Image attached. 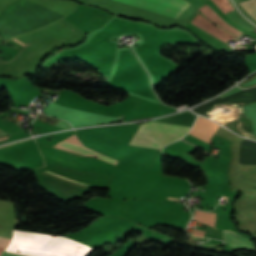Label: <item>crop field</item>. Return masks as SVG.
I'll return each instance as SVG.
<instances>
[{
    "mask_svg": "<svg viewBox=\"0 0 256 256\" xmlns=\"http://www.w3.org/2000/svg\"><path fill=\"white\" fill-rule=\"evenodd\" d=\"M200 9L203 14L208 17L212 22L223 28L224 30L238 36L242 32L236 30L235 28L229 26L225 21H223L214 11H212L206 4L201 6ZM199 10V11H200Z\"/></svg>",
    "mask_w": 256,
    "mask_h": 256,
    "instance_id": "obj_8",
    "label": "crop field"
},
{
    "mask_svg": "<svg viewBox=\"0 0 256 256\" xmlns=\"http://www.w3.org/2000/svg\"><path fill=\"white\" fill-rule=\"evenodd\" d=\"M10 240L11 239L9 238L0 237V247L5 248L9 244Z\"/></svg>",
    "mask_w": 256,
    "mask_h": 256,
    "instance_id": "obj_13",
    "label": "crop field"
},
{
    "mask_svg": "<svg viewBox=\"0 0 256 256\" xmlns=\"http://www.w3.org/2000/svg\"><path fill=\"white\" fill-rule=\"evenodd\" d=\"M223 239L233 247L254 249L250 239L232 230L223 231Z\"/></svg>",
    "mask_w": 256,
    "mask_h": 256,
    "instance_id": "obj_7",
    "label": "crop field"
},
{
    "mask_svg": "<svg viewBox=\"0 0 256 256\" xmlns=\"http://www.w3.org/2000/svg\"><path fill=\"white\" fill-rule=\"evenodd\" d=\"M219 8L225 13L234 12V9L232 8L231 4L228 0H213Z\"/></svg>",
    "mask_w": 256,
    "mask_h": 256,
    "instance_id": "obj_12",
    "label": "crop field"
},
{
    "mask_svg": "<svg viewBox=\"0 0 256 256\" xmlns=\"http://www.w3.org/2000/svg\"><path fill=\"white\" fill-rule=\"evenodd\" d=\"M54 147H57L59 149H62V150H65V151H68L70 153L80 155V156H83V157L91 155V156L97 157V158H99L103 161L117 164L116 160H114V159H112L108 156L101 155V154H99V153H97V152H95V151H93V150H91L87 147L77 146V145H74V144H71V143H68V142H65V141L57 143L56 145H54Z\"/></svg>",
    "mask_w": 256,
    "mask_h": 256,
    "instance_id": "obj_5",
    "label": "crop field"
},
{
    "mask_svg": "<svg viewBox=\"0 0 256 256\" xmlns=\"http://www.w3.org/2000/svg\"><path fill=\"white\" fill-rule=\"evenodd\" d=\"M214 217H215V213H205V212L195 211L192 219H195L200 222H203V223L213 226L214 225Z\"/></svg>",
    "mask_w": 256,
    "mask_h": 256,
    "instance_id": "obj_10",
    "label": "crop field"
},
{
    "mask_svg": "<svg viewBox=\"0 0 256 256\" xmlns=\"http://www.w3.org/2000/svg\"><path fill=\"white\" fill-rule=\"evenodd\" d=\"M179 19L188 3L183 0H116Z\"/></svg>",
    "mask_w": 256,
    "mask_h": 256,
    "instance_id": "obj_3",
    "label": "crop field"
},
{
    "mask_svg": "<svg viewBox=\"0 0 256 256\" xmlns=\"http://www.w3.org/2000/svg\"><path fill=\"white\" fill-rule=\"evenodd\" d=\"M195 117H196L195 115L186 111V112H183L180 114L170 116L168 118L159 119V121L192 126V124L195 120Z\"/></svg>",
    "mask_w": 256,
    "mask_h": 256,
    "instance_id": "obj_9",
    "label": "crop field"
},
{
    "mask_svg": "<svg viewBox=\"0 0 256 256\" xmlns=\"http://www.w3.org/2000/svg\"><path fill=\"white\" fill-rule=\"evenodd\" d=\"M50 167L54 168V169H57V170H60V171H63V172H66V173H70V174L85 178L82 171L77 170V169H73V168H70V167H67V166H64V165H61V164L51 162V161H50ZM41 172H44V173L62 178L64 180H67V181H70V182H73V183H76V184H79V185H82V186L88 184L87 181H85V180H82V179H79V178H76V177H73V176H70V175H66V174L51 170V169L44 170V171H41ZM41 172H40V174H41L42 177L60 182L62 184H65V185H68V186H71V187H74V188H77V189L82 188V186H79V185L61 180L59 178H56V177H53V176H50V175H47V174H44V173H41Z\"/></svg>",
    "mask_w": 256,
    "mask_h": 256,
    "instance_id": "obj_4",
    "label": "crop field"
},
{
    "mask_svg": "<svg viewBox=\"0 0 256 256\" xmlns=\"http://www.w3.org/2000/svg\"><path fill=\"white\" fill-rule=\"evenodd\" d=\"M241 5L256 20V0H249L241 3Z\"/></svg>",
    "mask_w": 256,
    "mask_h": 256,
    "instance_id": "obj_11",
    "label": "crop field"
},
{
    "mask_svg": "<svg viewBox=\"0 0 256 256\" xmlns=\"http://www.w3.org/2000/svg\"><path fill=\"white\" fill-rule=\"evenodd\" d=\"M189 130L190 127L149 121L142 123L130 144L161 149L184 136Z\"/></svg>",
    "mask_w": 256,
    "mask_h": 256,
    "instance_id": "obj_1",
    "label": "crop field"
},
{
    "mask_svg": "<svg viewBox=\"0 0 256 256\" xmlns=\"http://www.w3.org/2000/svg\"><path fill=\"white\" fill-rule=\"evenodd\" d=\"M192 23L206 30L207 32L211 33L212 35H214L215 37L219 38L224 42L231 38H236L231 34L227 33L226 31H224L223 29L219 28L218 26L214 25L213 23L209 22L199 14Z\"/></svg>",
    "mask_w": 256,
    "mask_h": 256,
    "instance_id": "obj_6",
    "label": "crop field"
},
{
    "mask_svg": "<svg viewBox=\"0 0 256 256\" xmlns=\"http://www.w3.org/2000/svg\"><path fill=\"white\" fill-rule=\"evenodd\" d=\"M169 199H173V198H169ZM175 200H178V199H175Z\"/></svg>",
    "mask_w": 256,
    "mask_h": 256,
    "instance_id": "obj_14",
    "label": "crop field"
},
{
    "mask_svg": "<svg viewBox=\"0 0 256 256\" xmlns=\"http://www.w3.org/2000/svg\"><path fill=\"white\" fill-rule=\"evenodd\" d=\"M69 37L73 36L53 24L41 30L26 33L24 35L15 37L14 39L24 44H22L23 46L20 45L21 43L18 44L19 42L14 39L13 40L18 43L12 41L11 39L9 41L26 49L30 53H33L36 50L42 49L46 46H49L53 43H56L62 39ZM24 49L18 54V56L13 61L10 62L11 64H14L18 69L32 55Z\"/></svg>",
    "mask_w": 256,
    "mask_h": 256,
    "instance_id": "obj_2",
    "label": "crop field"
}]
</instances>
